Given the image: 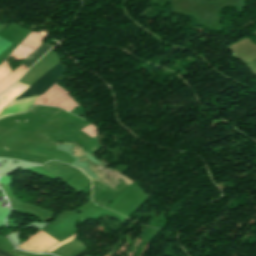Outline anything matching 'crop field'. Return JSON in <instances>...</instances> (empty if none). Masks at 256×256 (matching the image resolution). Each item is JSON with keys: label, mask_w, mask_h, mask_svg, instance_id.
Instances as JSON below:
<instances>
[{"label": "crop field", "mask_w": 256, "mask_h": 256, "mask_svg": "<svg viewBox=\"0 0 256 256\" xmlns=\"http://www.w3.org/2000/svg\"><path fill=\"white\" fill-rule=\"evenodd\" d=\"M65 67L58 63L51 70L40 77L21 97L37 96L44 94L63 75Z\"/></svg>", "instance_id": "8a807250"}, {"label": "crop field", "mask_w": 256, "mask_h": 256, "mask_svg": "<svg viewBox=\"0 0 256 256\" xmlns=\"http://www.w3.org/2000/svg\"><path fill=\"white\" fill-rule=\"evenodd\" d=\"M0 256H10V255H8V254H6V253L0 251Z\"/></svg>", "instance_id": "412701ff"}, {"label": "crop field", "mask_w": 256, "mask_h": 256, "mask_svg": "<svg viewBox=\"0 0 256 256\" xmlns=\"http://www.w3.org/2000/svg\"><path fill=\"white\" fill-rule=\"evenodd\" d=\"M52 46L43 43L36 51L28 56L26 60L22 63V65L31 67L36 61H38L47 51H49Z\"/></svg>", "instance_id": "ac0d7876"}, {"label": "crop field", "mask_w": 256, "mask_h": 256, "mask_svg": "<svg viewBox=\"0 0 256 256\" xmlns=\"http://www.w3.org/2000/svg\"><path fill=\"white\" fill-rule=\"evenodd\" d=\"M87 250L85 249V250H83L82 252H80V253H78L77 255H75V256H86L87 255Z\"/></svg>", "instance_id": "34b2d1b8"}]
</instances>
